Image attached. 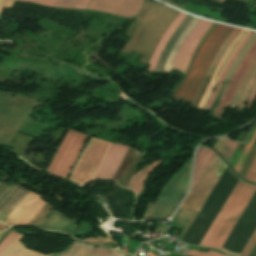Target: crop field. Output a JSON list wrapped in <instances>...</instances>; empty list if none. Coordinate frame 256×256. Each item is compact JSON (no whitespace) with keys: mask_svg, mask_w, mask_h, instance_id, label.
Returning a JSON list of instances; mask_svg holds the SVG:
<instances>
[{"mask_svg":"<svg viewBox=\"0 0 256 256\" xmlns=\"http://www.w3.org/2000/svg\"><path fill=\"white\" fill-rule=\"evenodd\" d=\"M256 245V231L254 232L253 236L251 237L250 241L246 245L245 249L243 250L241 256H249L252 249Z\"/></svg>","mask_w":256,"mask_h":256,"instance_id":"crop-field-26","label":"crop field"},{"mask_svg":"<svg viewBox=\"0 0 256 256\" xmlns=\"http://www.w3.org/2000/svg\"><path fill=\"white\" fill-rule=\"evenodd\" d=\"M212 24V22L200 19L196 27L190 32L180 47L172 68H177L184 72L186 71L192 53Z\"/></svg>","mask_w":256,"mask_h":256,"instance_id":"crop-field-7","label":"crop field"},{"mask_svg":"<svg viewBox=\"0 0 256 256\" xmlns=\"http://www.w3.org/2000/svg\"><path fill=\"white\" fill-rule=\"evenodd\" d=\"M255 97H256V86H255V88H254V90H253V92H252V94H251V96L249 98V101H248V104H247L246 108H248V109L251 108V106H252V104H253V102L255 100Z\"/></svg>","mask_w":256,"mask_h":256,"instance_id":"crop-field-30","label":"crop field"},{"mask_svg":"<svg viewBox=\"0 0 256 256\" xmlns=\"http://www.w3.org/2000/svg\"><path fill=\"white\" fill-rule=\"evenodd\" d=\"M109 146V143L91 138L78 160L70 180L83 184L94 178Z\"/></svg>","mask_w":256,"mask_h":256,"instance_id":"crop-field-3","label":"crop field"},{"mask_svg":"<svg viewBox=\"0 0 256 256\" xmlns=\"http://www.w3.org/2000/svg\"><path fill=\"white\" fill-rule=\"evenodd\" d=\"M255 83H256V70L253 73L248 85L246 86L236 110H241L244 107V105L246 104V102L248 100L249 94H250L251 90L253 89Z\"/></svg>","mask_w":256,"mask_h":256,"instance_id":"crop-field-21","label":"crop field"},{"mask_svg":"<svg viewBox=\"0 0 256 256\" xmlns=\"http://www.w3.org/2000/svg\"><path fill=\"white\" fill-rule=\"evenodd\" d=\"M212 153L213 152L209 149L203 148L198 154H196L193 185L205 167L206 163L208 162L209 158L211 157Z\"/></svg>","mask_w":256,"mask_h":256,"instance_id":"crop-field-18","label":"crop field"},{"mask_svg":"<svg viewBox=\"0 0 256 256\" xmlns=\"http://www.w3.org/2000/svg\"><path fill=\"white\" fill-rule=\"evenodd\" d=\"M40 198L41 196L29 191L4 223L10 225H26L46 204V202L39 200Z\"/></svg>","mask_w":256,"mask_h":256,"instance_id":"crop-field-8","label":"crop field"},{"mask_svg":"<svg viewBox=\"0 0 256 256\" xmlns=\"http://www.w3.org/2000/svg\"><path fill=\"white\" fill-rule=\"evenodd\" d=\"M93 245L73 242L70 249L63 256H87ZM123 253H116L105 248L97 247L88 256H125Z\"/></svg>","mask_w":256,"mask_h":256,"instance_id":"crop-field-12","label":"crop field"},{"mask_svg":"<svg viewBox=\"0 0 256 256\" xmlns=\"http://www.w3.org/2000/svg\"><path fill=\"white\" fill-rule=\"evenodd\" d=\"M233 29V27L217 24L200 49L188 77L173 95L176 100L180 101L184 99L190 102L192 101L212 60L214 59L222 43L230 35Z\"/></svg>","mask_w":256,"mask_h":256,"instance_id":"crop-field-2","label":"crop field"},{"mask_svg":"<svg viewBox=\"0 0 256 256\" xmlns=\"http://www.w3.org/2000/svg\"><path fill=\"white\" fill-rule=\"evenodd\" d=\"M88 136L69 130L56 152L48 171L65 178Z\"/></svg>","mask_w":256,"mask_h":256,"instance_id":"crop-field-4","label":"crop field"},{"mask_svg":"<svg viewBox=\"0 0 256 256\" xmlns=\"http://www.w3.org/2000/svg\"><path fill=\"white\" fill-rule=\"evenodd\" d=\"M215 1H217V2L222 4L225 0H215Z\"/></svg>","mask_w":256,"mask_h":256,"instance_id":"crop-field-31","label":"crop field"},{"mask_svg":"<svg viewBox=\"0 0 256 256\" xmlns=\"http://www.w3.org/2000/svg\"><path fill=\"white\" fill-rule=\"evenodd\" d=\"M248 30H244L242 29L241 33L237 36V38L233 41V43L230 45V47L227 49L222 61L220 62L216 72L213 74L207 88L205 89L198 105H197V109H201L203 110L209 96L210 93L215 85V83L217 82V80L219 79L220 75L222 74L225 66L227 65L230 57L233 55V53L235 52L236 48L238 47V45L241 43V41L245 38V36L248 34Z\"/></svg>","mask_w":256,"mask_h":256,"instance_id":"crop-field-10","label":"crop field"},{"mask_svg":"<svg viewBox=\"0 0 256 256\" xmlns=\"http://www.w3.org/2000/svg\"><path fill=\"white\" fill-rule=\"evenodd\" d=\"M255 191L256 186L239 180L200 245L221 249Z\"/></svg>","mask_w":256,"mask_h":256,"instance_id":"crop-field-1","label":"crop field"},{"mask_svg":"<svg viewBox=\"0 0 256 256\" xmlns=\"http://www.w3.org/2000/svg\"><path fill=\"white\" fill-rule=\"evenodd\" d=\"M244 178H246L250 181L256 182V155H255Z\"/></svg>","mask_w":256,"mask_h":256,"instance_id":"crop-field-25","label":"crop field"},{"mask_svg":"<svg viewBox=\"0 0 256 256\" xmlns=\"http://www.w3.org/2000/svg\"><path fill=\"white\" fill-rule=\"evenodd\" d=\"M220 159L213 153L210 161L182 204V208L190 209L199 212L212 188L218 180V177L213 176L220 164Z\"/></svg>","mask_w":256,"mask_h":256,"instance_id":"crop-field-5","label":"crop field"},{"mask_svg":"<svg viewBox=\"0 0 256 256\" xmlns=\"http://www.w3.org/2000/svg\"><path fill=\"white\" fill-rule=\"evenodd\" d=\"M25 1L38 3V4L50 6V7H53L54 3L56 2V0H25Z\"/></svg>","mask_w":256,"mask_h":256,"instance_id":"crop-field-28","label":"crop field"},{"mask_svg":"<svg viewBox=\"0 0 256 256\" xmlns=\"http://www.w3.org/2000/svg\"><path fill=\"white\" fill-rule=\"evenodd\" d=\"M18 233L11 231L7 237L0 244V255L3 251L12 243V241L17 237Z\"/></svg>","mask_w":256,"mask_h":256,"instance_id":"crop-field-24","label":"crop field"},{"mask_svg":"<svg viewBox=\"0 0 256 256\" xmlns=\"http://www.w3.org/2000/svg\"><path fill=\"white\" fill-rule=\"evenodd\" d=\"M187 256H225V255L215 253L211 250L208 253H203V252H198V251H195V250H190L187 253Z\"/></svg>","mask_w":256,"mask_h":256,"instance_id":"crop-field-27","label":"crop field"},{"mask_svg":"<svg viewBox=\"0 0 256 256\" xmlns=\"http://www.w3.org/2000/svg\"><path fill=\"white\" fill-rule=\"evenodd\" d=\"M127 149L128 146L112 144L95 178L111 179Z\"/></svg>","mask_w":256,"mask_h":256,"instance_id":"crop-field-11","label":"crop field"},{"mask_svg":"<svg viewBox=\"0 0 256 256\" xmlns=\"http://www.w3.org/2000/svg\"><path fill=\"white\" fill-rule=\"evenodd\" d=\"M255 33L250 31V33L247 35V37L245 38V40L242 42V44L240 45V47L237 49V51L234 53V55L232 56L231 60L229 61L228 65L226 66L221 78L219 79V81L217 82V86H216V90L212 92L206 106L204 109H206V112H208L222 86L223 81L225 80L226 76L228 75L230 69L232 68L233 64L235 63L239 53L241 52V50L243 49V47L246 45V43L250 40V38L254 35Z\"/></svg>","mask_w":256,"mask_h":256,"instance_id":"crop-field-14","label":"crop field"},{"mask_svg":"<svg viewBox=\"0 0 256 256\" xmlns=\"http://www.w3.org/2000/svg\"><path fill=\"white\" fill-rule=\"evenodd\" d=\"M91 0H57L54 7L86 9Z\"/></svg>","mask_w":256,"mask_h":256,"instance_id":"crop-field-20","label":"crop field"},{"mask_svg":"<svg viewBox=\"0 0 256 256\" xmlns=\"http://www.w3.org/2000/svg\"><path fill=\"white\" fill-rule=\"evenodd\" d=\"M159 163H160V161H155L149 167L146 166L143 171L133 175V177H132V179H131V181H130V183L128 185V188L133 189L135 191V193H136V196H138L140 194V192H141V190L143 188V183H144L146 177L148 176V174L151 171H153L159 165ZM147 167H148V169L146 170ZM142 173H143V175H142ZM141 175H142V177L140 178Z\"/></svg>","mask_w":256,"mask_h":256,"instance_id":"crop-field-16","label":"crop field"},{"mask_svg":"<svg viewBox=\"0 0 256 256\" xmlns=\"http://www.w3.org/2000/svg\"><path fill=\"white\" fill-rule=\"evenodd\" d=\"M4 228H6V227H5V226L0 225V230H2V229H4Z\"/></svg>","mask_w":256,"mask_h":256,"instance_id":"crop-field-32","label":"crop field"},{"mask_svg":"<svg viewBox=\"0 0 256 256\" xmlns=\"http://www.w3.org/2000/svg\"><path fill=\"white\" fill-rule=\"evenodd\" d=\"M14 0H0V12L2 7H10L12 6Z\"/></svg>","mask_w":256,"mask_h":256,"instance_id":"crop-field-29","label":"crop field"},{"mask_svg":"<svg viewBox=\"0 0 256 256\" xmlns=\"http://www.w3.org/2000/svg\"><path fill=\"white\" fill-rule=\"evenodd\" d=\"M240 31H241V29L235 28V30L231 33V35L226 39V41L223 43L221 49L219 50L218 54L216 55L212 65L204 79H207V80L210 79V77L212 76L216 67L218 66L219 62L221 61L227 47L232 43V41L235 39V37L238 35V33Z\"/></svg>","mask_w":256,"mask_h":256,"instance_id":"crop-field-17","label":"crop field"},{"mask_svg":"<svg viewBox=\"0 0 256 256\" xmlns=\"http://www.w3.org/2000/svg\"><path fill=\"white\" fill-rule=\"evenodd\" d=\"M255 56H256V40L252 44V46L248 49V51L245 53V55L242 57L237 69L232 75L224 91V94L213 113V118H217V119L222 118L224 110L225 108L228 107L239 81L243 77L247 67L249 66V64L251 63V61Z\"/></svg>","mask_w":256,"mask_h":256,"instance_id":"crop-field-6","label":"crop field"},{"mask_svg":"<svg viewBox=\"0 0 256 256\" xmlns=\"http://www.w3.org/2000/svg\"><path fill=\"white\" fill-rule=\"evenodd\" d=\"M255 139H256V132H255L251 142L249 144L245 145V147H244V149H243V151H242V153H241V155H240V157H239V159H238V161H237V163H236V165L234 167L238 172H240V170H241V168L243 166V163H244V161H245V159L247 157V153L250 150V148L252 147Z\"/></svg>","mask_w":256,"mask_h":256,"instance_id":"crop-field-22","label":"crop field"},{"mask_svg":"<svg viewBox=\"0 0 256 256\" xmlns=\"http://www.w3.org/2000/svg\"><path fill=\"white\" fill-rule=\"evenodd\" d=\"M237 144V142L229 140L226 141L221 153L226 157L228 161H230Z\"/></svg>","mask_w":256,"mask_h":256,"instance_id":"crop-field-23","label":"crop field"},{"mask_svg":"<svg viewBox=\"0 0 256 256\" xmlns=\"http://www.w3.org/2000/svg\"><path fill=\"white\" fill-rule=\"evenodd\" d=\"M255 68H256V57L252 61V63L250 64L246 74L244 75L242 81L240 82V84H239V86H238V88L236 90V94H235V96H234V98H233V100H232V102L230 104V107H235L237 105V103H238V101L240 99V96H241V94H242V92H243L247 82L249 81L252 73L254 72Z\"/></svg>","mask_w":256,"mask_h":256,"instance_id":"crop-field-19","label":"crop field"},{"mask_svg":"<svg viewBox=\"0 0 256 256\" xmlns=\"http://www.w3.org/2000/svg\"><path fill=\"white\" fill-rule=\"evenodd\" d=\"M186 14L180 12V14L176 17V19L171 23L170 27L168 28V30L166 31V33L164 34V36L161 38V40L159 41L153 56L149 62L150 67L148 70L153 71L157 60L159 58V55L161 54L166 42L169 40V38L172 36V34L174 33V31L176 30L177 26L181 23V21L185 18Z\"/></svg>","mask_w":256,"mask_h":256,"instance_id":"crop-field-13","label":"crop field"},{"mask_svg":"<svg viewBox=\"0 0 256 256\" xmlns=\"http://www.w3.org/2000/svg\"><path fill=\"white\" fill-rule=\"evenodd\" d=\"M144 1L145 0H92L87 9L102 10L129 17L136 15Z\"/></svg>","mask_w":256,"mask_h":256,"instance_id":"crop-field-9","label":"crop field"},{"mask_svg":"<svg viewBox=\"0 0 256 256\" xmlns=\"http://www.w3.org/2000/svg\"><path fill=\"white\" fill-rule=\"evenodd\" d=\"M22 237L23 236L19 234L1 256H45L23 247L22 243L20 242Z\"/></svg>","mask_w":256,"mask_h":256,"instance_id":"crop-field-15","label":"crop field"}]
</instances>
